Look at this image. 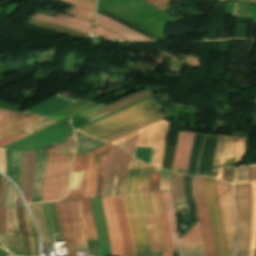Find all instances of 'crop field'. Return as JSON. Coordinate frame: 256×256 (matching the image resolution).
<instances>
[{
    "mask_svg": "<svg viewBox=\"0 0 256 256\" xmlns=\"http://www.w3.org/2000/svg\"><path fill=\"white\" fill-rule=\"evenodd\" d=\"M150 167L149 165L143 164L139 161V172H138V159L131 157L130 164L128 167V173H127V181H126V187H125V193L124 198L131 222V227L134 235V243H135V251L136 256H161V251L157 252H151L160 250V242L162 247V256H172V254H167L166 249V241H165V235L164 230L161 222L160 215H162V207L159 193L150 192L151 195V201L155 216L156 225L158 228L159 236H160V242H159V236L156 229L154 218L146 219L147 221V227L149 232V238L151 243V249H150V243L148 238V232L146 227V221L145 218L153 217L152 210H151V204L149 197V180H140V196L145 198H140L139 196V179H149L150 176ZM137 172H138V188H137ZM136 188H137V198L148 248H146L137 198H136ZM159 192V191H157ZM123 197H117L113 198L121 232L122 237L124 241V256H135L134 251V243H133V235L130 227V222L125 206ZM162 221L165 229L166 234V240H167V248L168 253H172L171 245H170V235L168 232L165 216L162 215Z\"/></svg>",
    "mask_w": 256,
    "mask_h": 256,
    "instance_id": "1",
    "label": "crop field"
},
{
    "mask_svg": "<svg viewBox=\"0 0 256 256\" xmlns=\"http://www.w3.org/2000/svg\"><path fill=\"white\" fill-rule=\"evenodd\" d=\"M162 108L153 100H147L121 111L80 132L96 139L112 142L145 125L162 120Z\"/></svg>",
    "mask_w": 256,
    "mask_h": 256,
    "instance_id": "2",
    "label": "crop field"
},
{
    "mask_svg": "<svg viewBox=\"0 0 256 256\" xmlns=\"http://www.w3.org/2000/svg\"><path fill=\"white\" fill-rule=\"evenodd\" d=\"M75 148L76 143L73 138L46 151L48 152V158L41 201H55L65 196Z\"/></svg>",
    "mask_w": 256,
    "mask_h": 256,
    "instance_id": "3",
    "label": "crop field"
},
{
    "mask_svg": "<svg viewBox=\"0 0 256 256\" xmlns=\"http://www.w3.org/2000/svg\"><path fill=\"white\" fill-rule=\"evenodd\" d=\"M77 251H88L86 240L98 239L89 199L68 201Z\"/></svg>",
    "mask_w": 256,
    "mask_h": 256,
    "instance_id": "4",
    "label": "crop field"
},
{
    "mask_svg": "<svg viewBox=\"0 0 256 256\" xmlns=\"http://www.w3.org/2000/svg\"><path fill=\"white\" fill-rule=\"evenodd\" d=\"M217 202L225 233L227 256H233L236 247V215L232 185L216 180Z\"/></svg>",
    "mask_w": 256,
    "mask_h": 256,
    "instance_id": "5",
    "label": "crop field"
},
{
    "mask_svg": "<svg viewBox=\"0 0 256 256\" xmlns=\"http://www.w3.org/2000/svg\"><path fill=\"white\" fill-rule=\"evenodd\" d=\"M168 125L169 123L164 120L156 122L143 127L111 144L118 145L125 140L139 135L135 146L156 147L152 165L161 167Z\"/></svg>",
    "mask_w": 256,
    "mask_h": 256,
    "instance_id": "6",
    "label": "crop field"
},
{
    "mask_svg": "<svg viewBox=\"0 0 256 256\" xmlns=\"http://www.w3.org/2000/svg\"><path fill=\"white\" fill-rule=\"evenodd\" d=\"M235 202L239 225V240L236 255H239L241 253L248 251L249 228L251 217L250 184L235 185Z\"/></svg>",
    "mask_w": 256,
    "mask_h": 256,
    "instance_id": "7",
    "label": "crop field"
},
{
    "mask_svg": "<svg viewBox=\"0 0 256 256\" xmlns=\"http://www.w3.org/2000/svg\"><path fill=\"white\" fill-rule=\"evenodd\" d=\"M192 188L197 205V212L205 248V256H215L213 232L205 202L203 177H192Z\"/></svg>",
    "mask_w": 256,
    "mask_h": 256,
    "instance_id": "8",
    "label": "crop field"
},
{
    "mask_svg": "<svg viewBox=\"0 0 256 256\" xmlns=\"http://www.w3.org/2000/svg\"><path fill=\"white\" fill-rule=\"evenodd\" d=\"M247 138L219 136L216 147L212 177L221 180L224 160L243 155Z\"/></svg>",
    "mask_w": 256,
    "mask_h": 256,
    "instance_id": "9",
    "label": "crop field"
},
{
    "mask_svg": "<svg viewBox=\"0 0 256 256\" xmlns=\"http://www.w3.org/2000/svg\"><path fill=\"white\" fill-rule=\"evenodd\" d=\"M204 187L210 220L214 232L216 256H226V246L216 202L215 180L204 177Z\"/></svg>",
    "mask_w": 256,
    "mask_h": 256,
    "instance_id": "10",
    "label": "crop field"
},
{
    "mask_svg": "<svg viewBox=\"0 0 256 256\" xmlns=\"http://www.w3.org/2000/svg\"><path fill=\"white\" fill-rule=\"evenodd\" d=\"M131 155L122 149H117L112 162L107 197L123 196L127 167Z\"/></svg>",
    "mask_w": 256,
    "mask_h": 256,
    "instance_id": "11",
    "label": "crop field"
},
{
    "mask_svg": "<svg viewBox=\"0 0 256 256\" xmlns=\"http://www.w3.org/2000/svg\"><path fill=\"white\" fill-rule=\"evenodd\" d=\"M5 110V109H2ZM9 111V110H6ZM12 113L8 114L9 112L1 111L0 110V129L13 134L16 133L44 118L39 117L37 115H30V114H24V113H17L10 111ZM0 130V140L9 136L10 134Z\"/></svg>",
    "mask_w": 256,
    "mask_h": 256,
    "instance_id": "12",
    "label": "crop field"
},
{
    "mask_svg": "<svg viewBox=\"0 0 256 256\" xmlns=\"http://www.w3.org/2000/svg\"><path fill=\"white\" fill-rule=\"evenodd\" d=\"M107 229L111 242V255L123 256V241L112 198H102Z\"/></svg>",
    "mask_w": 256,
    "mask_h": 256,
    "instance_id": "13",
    "label": "crop field"
},
{
    "mask_svg": "<svg viewBox=\"0 0 256 256\" xmlns=\"http://www.w3.org/2000/svg\"><path fill=\"white\" fill-rule=\"evenodd\" d=\"M88 156L75 155L68 199L83 198Z\"/></svg>",
    "mask_w": 256,
    "mask_h": 256,
    "instance_id": "14",
    "label": "crop field"
},
{
    "mask_svg": "<svg viewBox=\"0 0 256 256\" xmlns=\"http://www.w3.org/2000/svg\"><path fill=\"white\" fill-rule=\"evenodd\" d=\"M55 203L57 207L59 223L65 240L67 255L76 256L75 240L69 218L67 201H57Z\"/></svg>",
    "mask_w": 256,
    "mask_h": 256,
    "instance_id": "15",
    "label": "crop field"
},
{
    "mask_svg": "<svg viewBox=\"0 0 256 256\" xmlns=\"http://www.w3.org/2000/svg\"><path fill=\"white\" fill-rule=\"evenodd\" d=\"M202 242L199 223L180 239V246ZM181 256H204L203 244H194L180 247Z\"/></svg>",
    "mask_w": 256,
    "mask_h": 256,
    "instance_id": "16",
    "label": "crop field"
},
{
    "mask_svg": "<svg viewBox=\"0 0 256 256\" xmlns=\"http://www.w3.org/2000/svg\"><path fill=\"white\" fill-rule=\"evenodd\" d=\"M160 193H161V197H162V201L165 209V215H166L169 232L171 235L172 250L179 251L177 222H176V216L174 213L171 192L170 190H165V191H160Z\"/></svg>",
    "mask_w": 256,
    "mask_h": 256,
    "instance_id": "17",
    "label": "crop field"
},
{
    "mask_svg": "<svg viewBox=\"0 0 256 256\" xmlns=\"http://www.w3.org/2000/svg\"><path fill=\"white\" fill-rule=\"evenodd\" d=\"M73 5L70 11L63 10L71 16L87 20L90 22L95 21L94 7L95 3L87 0H58Z\"/></svg>",
    "mask_w": 256,
    "mask_h": 256,
    "instance_id": "18",
    "label": "crop field"
},
{
    "mask_svg": "<svg viewBox=\"0 0 256 256\" xmlns=\"http://www.w3.org/2000/svg\"><path fill=\"white\" fill-rule=\"evenodd\" d=\"M74 102L75 101H72L70 99H65L59 95H56V96L48 99L47 101H45L27 111L35 112V113H38V114L48 117V116L62 110L63 108L71 105Z\"/></svg>",
    "mask_w": 256,
    "mask_h": 256,
    "instance_id": "19",
    "label": "crop field"
},
{
    "mask_svg": "<svg viewBox=\"0 0 256 256\" xmlns=\"http://www.w3.org/2000/svg\"><path fill=\"white\" fill-rule=\"evenodd\" d=\"M97 24L119 34L122 35L132 41H139V42H154L104 16H101L99 14H97Z\"/></svg>",
    "mask_w": 256,
    "mask_h": 256,
    "instance_id": "20",
    "label": "crop field"
},
{
    "mask_svg": "<svg viewBox=\"0 0 256 256\" xmlns=\"http://www.w3.org/2000/svg\"><path fill=\"white\" fill-rule=\"evenodd\" d=\"M148 95H151V93H150V91L148 89L140 91V92L135 93V94H133L131 96L123 98V99H121V100H119V101H117L115 103H112V104H110V105H108L106 107H103V108H101V109H99V110H97V111H95V112L85 116V118H87L89 121H91V120H93V119H95L97 117H100V116H102L104 114H107V113H109L111 111H114V110H116L118 108H121V107H123V106H125V105H127V104H129V103H131L133 101H136L138 99L144 98V97H146Z\"/></svg>",
    "mask_w": 256,
    "mask_h": 256,
    "instance_id": "21",
    "label": "crop field"
},
{
    "mask_svg": "<svg viewBox=\"0 0 256 256\" xmlns=\"http://www.w3.org/2000/svg\"><path fill=\"white\" fill-rule=\"evenodd\" d=\"M35 160L36 153L35 152H26L25 159V174H24V184L22 194L25 197L27 203H30L31 193H32V185L35 171Z\"/></svg>",
    "mask_w": 256,
    "mask_h": 256,
    "instance_id": "22",
    "label": "crop field"
},
{
    "mask_svg": "<svg viewBox=\"0 0 256 256\" xmlns=\"http://www.w3.org/2000/svg\"><path fill=\"white\" fill-rule=\"evenodd\" d=\"M46 156H47V153H37L36 171H35L31 203L40 202V199H41L42 182H43V174H44Z\"/></svg>",
    "mask_w": 256,
    "mask_h": 256,
    "instance_id": "23",
    "label": "crop field"
},
{
    "mask_svg": "<svg viewBox=\"0 0 256 256\" xmlns=\"http://www.w3.org/2000/svg\"><path fill=\"white\" fill-rule=\"evenodd\" d=\"M33 17L36 18H40L43 20H49V21H54V22H58V23H62V24H66L75 28H79L85 31L90 32L93 23L87 22V21H83L74 17H70L64 14H58L57 18H53V17H49V16H45V15H40V14H35L33 15Z\"/></svg>",
    "mask_w": 256,
    "mask_h": 256,
    "instance_id": "24",
    "label": "crop field"
},
{
    "mask_svg": "<svg viewBox=\"0 0 256 256\" xmlns=\"http://www.w3.org/2000/svg\"><path fill=\"white\" fill-rule=\"evenodd\" d=\"M19 150H7L6 155V175L9 176L17 185L19 184V162H20Z\"/></svg>",
    "mask_w": 256,
    "mask_h": 256,
    "instance_id": "25",
    "label": "crop field"
},
{
    "mask_svg": "<svg viewBox=\"0 0 256 256\" xmlns=\"http://www.w3.org/2000/svg\"><path fill=\"white\" fill-rule=\"evenodd\" d=\"M43 205L44 203H41V204L30 205L28 207L40 229L42 243H47L51 241H50L49 235L47 234L48 231H47V226H46V221H45V216L43 211Z\"/></svg>",
    "mask_w": 256,
    "mask_h": 256,
    "instance_id": "26",
    "label": "crop field"
},
{
    "mask_svg": "<svg viewBox=\"0 0 256 256\" xmlns=\"http://www.w3.org/2000/svg\"><path fill=\"white\" fill-rule=\"evenodd\" d=\"M194 134L195 133H188V132H185L184 134L179 167L177 172L178 174L186 175Z\"/></svg>",
    "mask_w": 256,
    "mask_h": 256,
    "instance_id": "27",
    "label": "crop field"
},
{
    "mask_svg": "<svg viewBox=\"0 0 256 256\" xmlns=\"http://www.w3.org/2000/svg\"><path fill=\"white\" fill-rule=\"evenodd\" d=\"M251 228H250V241L249 251L254 249L256 246V184H251Z\"/></svg>",
    "mask_w": 256,
    "mask_h": 256,
    "instance_id": "28",
    "label": "crop field"
},
{
    "mask_svg": "<svg viewBox=\"0 0 256 256\" xmlns=\"http://www.w3.org/2000/svg\"><path fill=\"white\" fill-rule=\"evenodd\" d=\"M170 185L174 203L186 202L182 185V176L171 172Z\"/></svg>",
    "mask_w": 256,
    "mask_h": 256,
    "instance_id": "29",
    "label": "crop field"
},
{
    "mask_svg": "<svg viewBox=\"0 0 256 256\" xmlns=\"http://www.w3.org/2000/svg\"><path fill=\"white\" fill-rule=\"evenodd\" d=\"M9 180L5 179L4 187L0 197V241L7 248L6 244V208H3L4 198Z\"/></svg>",
    "mask_w": 256,
    "mask_h": 256,
    "instance_id": "30",
    "label": "crop field"
},
{
    "mask_svg": "<svg viewBox=\"0 0 256 256\" xmlns=\"http://www.w3.org/2000/svg\"><path fill=\"white\" fill-rule=\"evenodd\" d=\"M23 209H24L25 218H26L28 236L30 238V243H31L32 256H39V254H38V236L36 234V231L34 229L32 222L27 214L26 208L23 207Z\"/></svg>",
    "mask_w": 256,
    "mask_h": 256,
    "instance_id": "31",
    "label": "crop field"
},
{
    "mask_svg": "<svg viewBox=\"0 0 256 256\" xmlns=\"http://www.w3.org/2000/svg\"><path fill=\"white\" fill-rule=\"evenodd\" d=\"M97 12L102 14V15H104V16H106V17H108V18H110V19H112V20H115V21H117V22H119V23H121V24H123V25H125V26H127L129 28H131L132 30H134V31H136V32H138V33H140V34H142V35H144V36H146V37H148V38H150L152 40L155 39L154 36L144 32L143 30H141V29H139V28H137V27H135L133 25H131L130 23L124 21L123 19L119 18L118 16H116V15H114V14L108 12V11H105V10H102V9L98 8Z\"/></svg>",
    "mask_w": 256,
    "mask_h": 256,
    "instance_id": "32",
    "label": "crop field"
},
{
    "mask_svg": "<svg viewBox=\"0 0 256 256\" xmlns=\"http://www.w3.org/2000/svg\"><path fill=\"white\" fill-rule=\"evenodd\" d=\"M116 148L117 147H114V148L110 149V151H109V155H108L107 162H106L105 169H104L102 197H106V194H107L110 167H111V162L114 157Z\"/></svg>",
    "mask_w": 256,
    "mask_h": 256,
    "instance_id": "33",
    "label": "crop field"
},
{
    "mask_svg": "<svg viewBox=\"0 0 256 256\" xmlns=\"http://www.w3.org/2000/svg\"><path fill=\"white\" fill-rule=\"evenodd\" d=\"M154 148H135L132 155L151 165Z\"/></svg>",
    "mask_w": 256,
    "mask_h": 256,
    "instance_id": "34",
    "label": "crop field"
},
{
    "mask_svg": "<svg viewBox=\"0 0 256 256\" xmlns=\"http://www.w3.org/2000/svg\"><path fill=\"white\" fill-rule=\"evenodd\" d=\"M100 154H101V152L96 154L95 157H94L92 176H91L90 197H95L97 173H98Z\"/></svg>",
    "mask_w": 256,
    "mask_h": 256,
    "instance_id": "35",
    "label": "crop field"
},
{
    "mask_svg": "<svg viewBox=\"0 0 256 256\" xmlns=\"http://www.w3.org/2000/svg\"><path fill=\"white\" fill-rule=\"evenodd\" d=\"M92 34H96L99 36H103V37H107V38H113V39H121V40H127L99 25L96 24V26L94 27ZM129 41V40H128Z\"/></svg>",
    "mask_w": 256,
    "mask_h": 256,
    "instance_id": "36",
    "label": "crop field"
},
{
    "mask_svg": "<svg viewBox=\"0 0 256 256\" xmlns=\"http://www.w3.org/2000/svg\"><path fill=\"white\" fill-rule=\"evenodd\" d=\"M234 183H248V168L247 165L237 167L235 171Z\"/></svg>",
    "mask_w": 256,
    "mask_h": 256,
    "instance_id": "37",
    "label": "crop field"
},
{
    "mask_svg": "<svg viewBox=\"0 0 256 256\" xmlns=\"http://www.w3.org/2000/svg\"><path fill=\"white\" fill-rule=\"evenodd\" d=\"M53 123H55V121H51V120L45 119V120H43L41 122H38V123H36V124L26 128V129L22 130V131H24V132H26L28 134H32V133H34V132H36L38 130H41V129H43V128L53 124Z\"/></svg>",
    "mask_w": 256,
    "mask_h": 256,
    "instance_id": "38",
    "label": "crop field"
},
{
    "mask_svg": "<svg viewBox=\"0 0 256 256\" xmlns=\"http://www.w3.org/2000/svg\"><path fill=\"white\" fill-rule=\"evenodd\" d=\"M159 168L151 167L150 191L159 190Z\"/></svg>",
    "mask_w": 256,
    "mask_h": 256,
    "instance_id": "39",
    "label": "crop field"
},
{
    "mask_svg": "<svg viewBox=\"0 0 256 256\" xmlns=\"http://www.w3.org/2000/svg\"><path fill=\"white\" fill-rule=\"evenodd\" d=\"M93 157H94V155L89 156V160H88V168H87V174H86V187H85L84 198L89 197L90 176H91V168H92Z\"/></svg>",
    "mask_w": 256,
    "mask_h": 256,
    "instance_id": "40",
    "label": "crop field"
},
{
    "mask_svg": "<svg viewBox=\"0 0 256 256\" xmlns=\"http://www.w3.org/2000/svg\"><path fill=\"white\" fill-rule=\"evenodd\" d=\"M183 133L184 132L179 133V136H178V142H177V146H176V150H175L174 161H173V165H172V169H171L174 172H176V170H177L179 151H180V145H181Z\"/></svg>",
    "mask_w": 256,
    "mask_h": 256,
    "instance_id": "41",
    "label": "crop field"
},
{
    "mask_svg": "<svg viewBox=\"0 0 256 256\" xmlns=\"http://www.w3.org/2000/svg\"><path fill=\"white\" fill-rule=\"evenodd\" d=\"M25 136H27V135L24 132L21 131V132L15 134V135H12V136H10L6 139H3V140L0 141V148L9 144V143H11V142H13V141H15V140H17V139L25 137Z\"/></svg>",
    "mask_w": 256,
    "mask_h": 256,
    "instance_id": "42",
    "label": "crop field"
},
{
    "mask_svg": "<svg viewBox=\"0 0 256 256\" xmlns=\"http://www.w3.org/2000/svg\"><path fill=\"white\" fill-rule=\"evenodd\" d=\"M7 235H14L10 208H7Z\"/></svg>",
    "mask_w": 256,
    "mask_h": 256,
    "instance_id": "43",
    "label": "crop field"
},
{
    "mask_svg": "<svg viewBox=\"0 0 256 256\" xmlns=\"http://www.w3.org/2000/svg\"><path fill=\"white\" fill-rule=\"evenodd\" d=\"M138 137V136H137ZM137 137H134L122 144H120L119 146L123 147L124 149H126L128 152L132 153L133 147L135 145L136 139Z\"/></svg>",
    "mask_w": 256,
    "mask_h": 256,
    "instance_id": "44",
    "label": "crop field"
},
{
    "mask_svg": "<svg viewBox=\"0 0 256 256\" xmlns=\"http://www.w3.org/2000/svg\"><path fill=\"white\" fill-rule=\"evenodd\" d=\"M249 167V183H256V164L248 165Z\"/></svg>",
    "mask_w": 256,
    "mask_h": 256,
    "instance_id": "45",
    "label": "crop field"
},
{
    "mask_svg": "<svg viewBox=\"0 0 256 256\" xmlns=\"http://www.w3.org/2000/svg\"><path fill=\"white\" fill-rule=\"evenodd\" d=\"M148 2H150L152 5H154L155 7H160L172 0H147Z\"/></svg>",
    "mask_w": 256,
    "mask_h": 256,
    "instance_id": "46",
    "label": "crop field"
},
{
    "mask_svg": "<svg viewBox=\"0 0 256 256\" xmlns=\"http://www.w3.org/2000/svg\"><path fill=\"white\" fill-rule=\"evenodd\" d=\"M112 147H113V146H111V145H109V144H106V145H104V146H102V147H100V148H98V149H96V150H93V151H91V152H89V153H87V154H85V155L96 154V153H98V152H100V151L108 150V149H110V148H112Z\"/></svg>",
    "mask_w": 256,
    "mask_h": 256,
    "instance_id": "47",
    "label": "crop field"
},
{
    "mask_svg": "<svg viewBox=\"0 0 256 256\" xmlns=\"http://www.w3.org/2000/svg\"><path fill=\"white\" fill-rule=\"evenodd\" d=\"M4 179L5 178L1 176V179H0V194H1L3 183H4Z\"/></svg>",
    "mask_w": 256,
    "mask_h": 256,
    "instance_id": "48",
    "label": "crop field"
},
{
    "mask_svg": "<svg viewBox=\"0 0 256 256\" xmlns=\"http://www.w3.org/2000/svg\"><path fill=\"white\" fill-rule=\"evenodd\" d=\"M73 136V135H72ZM71 137V136H70ZM69 138V137H68ZM68 139L66 138V139H64V140H62V141H60V142H58V143H56V145H59V144H61V143H63V142H65V141H67Z\"/></svg>",
    "mask_w": 256,
    "mask_h": 256,
    "instance_id": "49",
    "label": "crop field"
},
{
    "mask_svg": "<svg viewBox=\"0 0 256 256\" xmlns=\"http://www.w3.org/2000/svg\"><path fill=\"white\" fill-rule=\"evenodd\" d=\"M255 250L249 253V256H254Z\"/></svg>",
    "mask_w": 256,
    "mask_h": 256,
    "instance_id": "50",
    "label": "crop field"
},
{
    "mask_svg": "<svg viewBox=\"0 0 256 256\" xmlns=\"http://www.w3.org/2000/svg\"><path fill=\"white\" fill-rule=\"evenodd\" d=\"M251 4L256 5V0H251Z\"/></svg>",
    "mask_w": 256,
    "mask_h": 256,
    "instance_id": "51",
    "label": "crop field"
},
{
    "mask_svg": "<svg viewBox=\"0 0 256 256\" xmlns=\"http://www.w3.org/2000/svg\"><path fill=\"white\" fill-rule=\"evenodd\" d=\"M248 255V253L247 254H245V255H242V256H247Z\"/></svg>",
    "mask_w": 256,
    "mask_h": 256,
    "instance_id": "52",
    "label": "crop field"
},
{
    "mask_svg": "<svg viewBox=\"0 0 256 256\" xmlns=\"http://www.w3.org/2000/svg\"><path fill=\"white\" fill-rule=\"evenodd\" d=\"M229 1H234L235 2V0H229Z\"/></svg>",
    "mask_w": 256,
    "mask_h": 256,
    "instance_id": "53",
    "label": "crop field"
},
{
    "mask_svg": "<svg viewBox=\"0 0 256 256\" xmlns=\"http://www.w3.org/2000/svg\"><path fill=\"white\" fill-rule=\"evenodd\" d=\"M91 1H94V2H95L96 0H91Z\"/></svg>",
    "mask_w": 256,
    "mask_h": 256,
    "instance_id": "54",
    "label": "crop field"
},
{
    "mask_svg": "<svg viewBox=\"0 0 256 256\" xmlns=\"http://www.w3.org/2000/svg\"><path fill=\"white\" fill-rule=\"evenodd\" d=\"M255 256H256V253H255Z\"/></svg>",
    "mask_w": 256,
    "mask_h": 256,
    "instance_id": "55",
    "label": "crop field"
},
{
    "mask_svg": "<svg viewBox=\"0 0 256 256\" xmlns=\"http://www.w3.org/2000/svg\"><path fill=\"white\" fill-rule=\"evenodd\" d=\"M214 1V0H213ZM219 1V0H218Z\"/></svg>",
    "mask_w": 256,
    "mask_h": 256,
    "instance_id": "56",
    "label": "crop field"
}]
</instances>
